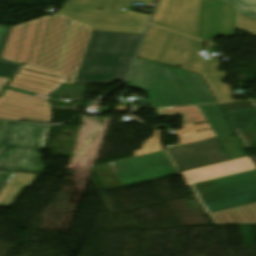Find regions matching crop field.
Listing matches in <instances>:
<instances>
[{
	"instance_id": "7",
	"label": "crop field",
	"mask_w": 256,
	"mask_h": 256,
	"mask_svg": "<svg viewBox=\"0 0 256 256\" xmlns=\"http://www.w3.org/2000/svg\"><path fill=\"white\" fill-rule=\"evenodd\" d=\"M105 190L178 173L164 151L94 169Z\"/></svg>"
},
{
	"instance_id": "14",
	"label": "crop field",
	"mask_w": 256,
	"mask_h": 256,
	"mask_svg": "<svg viewBox=\"0 0 256 256\" xmlns=\"http://www.w3.org/2000/svg\"><path fill=\"white\" fill-rule=\"evenodd\" d=\"M163 66V64L137 58L128 85L141 90H154Z\"/></svg>"
},
{
	"instance_id": "3",
	"label": "crop field",
	"mask_w": 256,
	"mask_h": 256,
	"mask_svg": "<svg viewBox=\"0 0 256 256\" xmlns=\"http://www.w3.org/2000/svg\"><path fill=\"white\" fill-rule=\"evenodd\" d=\"M141 36L93 31L75 84L124 81Z\"/></svg>"
},
{
	"instance_id": "28",
	"label": "crop field",
	"mask_w": 256,
	"mask_h": 256,
	"mask_svg": "<svg viewBox=\"0 0 256 256\" xmlns=\"http://www.w3.org/2000/svg\"><path fill=\"white\" fill-rule=\"evenodd\" d=\"M208 52H212V53H219L217 50H216V46L215 45H210V48H209V51Z\"/></svg>"
},
{
	"instance_id": "24",
	"label": "crop field",
	"mask_w": 256,
	"mask_h": 256,
	"mask_svg": "<svg viewBox=\"0 0 256 256\" xmlns=\"http://www.w3.org/2000/svg\"><path fill=\"white\" fill-rule=\"evenodd\" d=\"M218 102L232 101L231 89L229 85L212 88Z\"/></svg>"
},
{
	"instance_id": "23",
	"label": "crop field",
	"mask_w": 256,
	"mask_h": 256,
	"mask_svg": "<svg viewBox=\"0 0 256 256\" xmlns=\"http://www.w3.org/2000/svg\"><path fill=\"white\" fill-rule=\"evenodd\" d=\"M155 136L143 144V149L134 151V156L164 149L161 144L160 132L154 131Z\"/></svg>"
},
{
	"instance_id": "21",
	"label": "crop field",
	"mask_w": 256,
	"mask_h": 256,
	"mask_svg": "<svg viewBox=\"0 0 256 256\" xmlns=\"http://www.w3.org/2000/svg\"><path fill=\"white\" fill-rule=\"evenodd\" d=\"M11 27L0 25V57ZM22 64L0 59V76L14 77ZM23 67V66H22Z\"/></svg>"
},
{
	"instance_id": "27",
	"label": "crop field",
	"mask_w": 256,
	"mask_h": 256,
	"mask_svg": "<svg viewBox=\"0 0 256 256\" xmlns=\"http://www.w3.org/2000/svg\"><path fill=\"white\" fill-rule=\"evenodd\" d=\"M7 78H0V91L4 87V85L8 82Z\"/></svg>"
},
{
	"instance_id": "10",
	"label": "crop field",
	"mask_w": 256,
	"mask_h": 256,
	"mask_svg": "<svg viewBox=\"0 0 256 256\" xmlns=\"http://www.w3.org/2000/svg\"><path fill=\"white\" fill-rule=\"evenodd\" d=\"M201 0H161L153 24L197 38Z\"/></svg>"
},
{
	"instance_id": "25",
	"label": "crop field",
	"mask_w": 256,
	"mask_h": 256,
	"mask_svg": "<svg viewBox=\"0 0 256 256\" xmlns=\"http://www.w3.org/2000/svg\"><path fill=\"white\" fill-rule=\"evenodd\" d=\"M11 172H6V171H0V189L4 185L5 181L9 177Z\"/></svg>"
},
{
	"instance_id": "2",
	"label": "crop field",
	"mask_w": 256,
	"mask_h": 256,
	"mask_svg": "<svg viewBox=\"0 0 256 256\" xmlns=\"http://www.w3.org/2000/svg\"><path fill=\"white\" fill-rule=\"evenodd\" d=\"M208 214L256 203V168L249 157L182 172ZM191 180H188V179Z\"/></svg>"
},
{
	"instance_id": "9",
	"label": "crop field",
	"mask_w": 256,
	"mask_h": 256,
	"mask_svg": "<svg viewBox=\"0 0 256 256\" xmlns=\"http://www.w3.org/2000/svg\"><path fill=\"white\" fill-rule=\"evenodd\" d=\"M230 6L225 0H203L201 40L212 43L215 36H234L235 28L256 36V20L240 15Z\"/></svg>"
},
{
	"instance_id": "5",
	"label": "crop field",
	"mask_w": 256,
	"mask_h": 256,
	"mask_svg": "<svg viewBox=\"0 0 256 256\" xmlns=\"http://www.w3.org/2000/svg\"><path fill=\"white\" fill-rule=\"evenodd\" d=\"M92 29L55 13L37 67L76 77Z\"/></svg>"
},
{
	"instance_id": "4",
	"label": "crop field",
	"mask_w": 256,
	"mask_h": 256,
	"mask_svg": "<svg viewBox=\"0 0 256 256\" xmlns=\"http://www.w3.org/2000/svg\"><path fill=\"white\" fill-rule=\"evenodd\" d=\"M203 42L150 27L140 57L162 62L203 75L210 87L225 85V72H218L220 60H204L197 52Z\"/></svg>"
},
{
	"instance_id": "13",
	"label": "crop field",
	"mask_w": 256,
	"mask_h": 256,
	"mask_svg": "<svg viewBox=\"0 0 256 256\" xmlns=\"http://www.w3.org/2000/svg\"><path fill=\"white\" fill-rule=\"evenodd\" d=\"M0 118L49 123L50 108L0 96Z\"/></svg>"
},
{
	"instance_id": "6",
	"label": "crop field",
	"mask_w": 256,
	"mask_h": 256,
	"mask_svg": "<svg viewBox=\"0 0 256 256\" xmlns=\"http://www.w3.org/2000/svg\"><path fill=\"white\" fill-rule=\"evenodd\" d=\"M131 2L154 4L155 0H72L57 13L93 30L142 34L149 16L119 10Z\"/></svg>"
},
{
	"instance_id": "12",
	"label": "crop field",
	"mask_w": 256,
	"mask_h": 256,
	"mask_svg": "<svg viewBox=\"0 0 256 256\" xmlns=\"http://www.w3.org/2000/svg\"><path fill=\"white\" fill-rule=\"evenodd\" d=\"M154 91H147L151 106H179L195 104L182 82L172 69L164 66Z\"/></svg>"
},
{
	"instance_id": "20",
	"label": "crop field",
	"mask_w": 256,
	"mask_h": 256,
	"mask_svg": "<svg viewBox=\"0 0 256 256\" xmlns=\"http://www.w3.org/2000/svg\"><path fill=\"white\" fill-rule=\"evenodd\" d=\"M159 116L183 114V124L206 122L198 106L157 109Z\"/></svg>"
},
{
	"instance_id": "1",
	"label": "crop field",
	"mask_w": 256,
	"mask_h": 256,
	"mask_svg": "<svg viewBox=\"0 0 256 256\" xmlns=\"http://www.w3.org/2000/svg\"><path fill=\"white\" fill-rule=\"evenodd\" d=\"M52 15L11 28L2 59L24 64L3 96L49 106L47 95L74 77L36 68Z\"/></svg>"
},
{
	"instance_id": "15",
	"label": "crop field",
	"mask_w": 256,
	"mask_h": 256,
	"mask_svg": "<svg viewBox=\"0 0 256 256\" xmlns=\"http://www.w3.org/2000/svg\"><path fill=\"white\" fill-rule=\"evenodd\" d=\"M37 175L13 172L0 191V206L13 207L24 187L31 186Z\"/></svg>"
},
{
	"instance_id": "19",
	"label": "crop field",
	"mask_w": 256,
	"mask_h": 256,
	"mask_svg": "<svg viewBox=\"0 0 256 256\" xmlns=\"http://www.w3.org/2000/svg\"><path fill=\"white\" fill-rule=\"evenodd\" d=\"M234 130L253 129L256 120V108L225 112Z\"/></svg>"
},
{
	"instance_id": "16",
	"label": "crop field",
	"mask_w": 256,
	"mask_h": 256,
	"mask_svg": "<svg viewBox=\"0 0 256 256\" xmlns=\"http://www.w3.org/2000/svg\"><path fill=\"white\" fill-rule=\"evenodd\" d=\"M173 69L185 85L196 104L215 103L209 89L200 75L177 68Z\"/></svg>"
},
{
	"instance_id": "30",
	"label": "crop field",
	"mask_w": 256,
	"mask_h": 256,
	"mask_svg": "<svg viewBox=\"0 0 256 256\" xmlns=\"http://www.w3.org/2000/svg\"><path fill=\"white\" fill-rule=\"evenodd\" d=\"M255 101H256V99H255Z\"/></svg>"
},
{
	"instance_id": "26",
	"label": "crop field",
	"mask_w": 256,
	"mask_h": 256,
	"mask_svg": "<svg viewBox=\"0 0 256 256\" xmlns=\"http://www.w3.org/2000/svg\"><path fill=\"white\" fill-rule=\"evenodd\" d=\"M8 122L0 121V141Z\"/></svg>"
},
{
	"instance_id": "17",
	"label": "crop field",
	"mask_w": 256,
	"mask_h": 256,
	"mask_svg": "<svg viewBox=\"0 0 256 256\" xmlns=\"http://www.w3.org/2000/svg\"><path fill=\"white\" fill-rule=\"evenodd\" d=\"M214 225L256 223V204L210 214Z\"/></svg>"
},
{
	"instance_id": "11",
	"label": "crop field",
	"mask_w": 256,
	"mask_h": 256,
	"mask_svg": "<svg viewBox=\"0 0 256 256\" xmlns=\"http://www.w3.org/2000/svg\"><path fill=\"white\" fill-rule=\"evenodd\" d=\"M169 153L181 171L231 160L216 138L170 149Z\"/></svg>"
},
{
	"instance_id": "8",
	"label": "crop field",
	"mask_w": 256,
	"mask_h": 256,
	"mask_svg": "<svg viewBox=\"0 0 256 256\" xmlns=\"http://www.w3.org/2000/svg\"><path fill=\"white\" fill-rule=\"evenodd\" d=\"M48 126L9 122L0 144L19 146L9 148L5 157V146H0V169L41 172V154L34 149L40 148Z\"/></svg>"
},
{
	"instance_id": "22",
	"label": "crop field",
	"mask_w": 256,
	"mask_h": 256,
	"mask_svg": "<svg viewBox=\"0 0 256 256\" xmlns=\"http://www.w3.org/2000/svg\"><path fill=\"white\" fill-rule=\"evenodd\" d=\"M239 13L256 19V0H226Z\"/></svg>"
},
{
	"instance_id": "29",
	"label": "crop field",
	"mask_w": 256,
	"mask_h": 256,
	"mask_svg": "<svg viewBox=\"0 0 256 256\" xmlns=\"http://www.w3.org/2000/svg\"><path fill=\"white\" fill-rule=\"evenodd\" d=\"M253 161L255 162L256 164V156L252 157Z\"/></svg>"
},
{
	"instance_id": "18",
	"label": "crop field",
	"mask_w": 256,
	"mask_h": 256,
	"mask_svg": "<svg viewBox=\"0 0 256 256\" xmlns=\"http://www.w3.org/2000/svg\"><path fill=\"white\" fill-rule=\"evenodd\" d=\"M200 108L216 132L217 136L224 135L226 132H233L218 105L200 106Z\"/></svg>"
}]
</instances>
